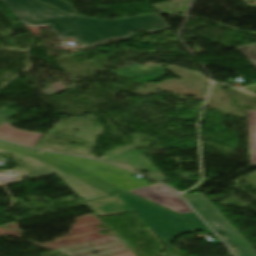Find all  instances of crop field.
<instances>
[{
	"label": "crop field",
	"instance_id": "412701ff",
	"mask_svg": "<svg viewBox=\"0 0 256 256\" xmlns=\"http://www.w3.org/2000/svg\"><path fill=\"white\" fill-rule=\"evenodd\" d=\"M185 198L216 232L225 234L223 239L228 245H234L237 248L235 252L238 253V256H256V251L202 193L186 196Z\"/></svg>",
	"mask_w": 256,
	"mask_h": 256
},
{
	"label": "crop field",
	"instance_id": "d1516ede",
	"mask_svg": "<svg viewBox=\"0 0 256 256\" xmlns=\"http://www.w3.org/2000/svg\"><path fill=\"white\" fill-rule=\"evenodd\" d=\"M0 186H3L1 182H0Z\"/></svg>",
	"mask_w": 256,
	"mask_h": 256
},
{
	"label": "crop field",
	"instance_id": "f4fd0767",
	"mask_svg": "<svg viewBox=\"0 0 256 256\" xmlns=\"http://www.w3.org/2000/svg\"><path fill=\"white\" fill-rule=\"evenodd\" d=\"M39 152L54 157L56 159L62 160L64 162H67L69 164H72L74 166H77L125 191L149 184L143 180L131 178L129 175L132 172L124 171L117 167L103 164L94 160L77 156L52 154L43 151Z\"/></svg>",
	"mask_w": 256,
	"mask_h": 256
},
{
	"label": "crop field",
	"instance_id": "34b2d1b8",
	"mask_svg": "<svg viewBox=\"0 0 256 256\" xmlns=\"http://www.w3.org/2000/svg\"><path fill=\"white\" fill-rule=\"evenodd\" d=\"M0 153L25 163L33 179L56 173L85 202L123 192L106 182L39 152L0 142Z\"/></svg>",
	"mask_w": 256,
	"mask_h": 256
},
{
	"label": "crop field",
	"instance_id": "3316defc",
	"mask_svg": "<svg viewBox=\"0 0 256 256\" xmlns=\"http://www.w3.org/2000/svg\"><path fill=\"white\" fill-rule=\"evenodd\" d=\"M256 66V43L237 47Z\"/></svg>",
	"mask_w": 256,
	"mask_h": 256
},
{
	"label": "crop field",
	"instance_id": "e52e79f7",
	"mask_svg": "<svg viewBox=\"0 0 256 256\" xmlns=\"http://www.w3.org/2000/svg\"><path fill=\"white\" fill-rule=\"evenodd\" d=\"M43 133L29 132L10 126L7 121L0 125V138L35 147Z\"/></svg>",
	"mask_w": 256,
	"mask_h": 256
},
{
	"label": "crop field",
	"instance_id": "ac0d7876",
	"mask_svg": "<svg viewBox=\"0 0 256 256\" xmlns=\"http://www.w3.org/2000/svg\"><path fill=\"white\" fill-rule=\"evenodd\" d=\"M85 204L98 216L135 211L167 245L178 234L208 229L195 213L178 215L126 192Z\"/></svg>",
	"mask_w": 256,
	"mask_h": 256
},
{
	"label": "crop field",
	"instance_id": "8a807250",
	"mask_svg": "<svg viewBox=\"0 0 256 256\" xmlns=\"http://www.w3.org/2000/svg\"><path fill=\"white\" fill-rule=\"evenodd\" d=\"M26 25L46 24L60 39L74 38L83 46L112 38L129 39L133 30L157 32L169 29L160 15L150 14L117 20L71 16L36 0H3Z\"/></svg>",
	"mask_w": 256,
	"mask_h": 256
},
{
	"label": "crop field",
	"instance_id": "dd49c442",
	"mask_svg": "<svg viewBox=\"0 0 256 256\" xmlns=\"http://www.w3.org/2000/svg\"><path fill=\"white\" fill-rule=\"evenodd\" d=\"M178 213L193 212L172 189L157 183L128 191Z\"/></svg>",
	"mask_w": 256,
	"mask_h": 256
},
{
	"label": "crop field",
	"instance_id": "d8731c3e",
	"mask_svg": "<svg viewBox=\"0 0 256 256\" xmlns=\"http://www.w3.org/2000/svg\"><path fill=\"white\" fill-rule=\"evenodd\" d=\"M249 144L251 165L256 164V111L249 110Z\"/></svg>",
	"mask_w": 256,
	"mask_h": 256
},
{
	"label": "crop field",
	"instance_id": "28ad6ade",
	"mask_svg": "<svg viewBox=\"0 0 256 256\" xmlns=\"http://www.w3.org/2000/svg\"><path fill=\"white\" fill-rule=\"evenodd\" d=\"M16 111L12 110H0V124L10 118Z\"/></svg>",
	"mask_w": 256,
	"mask_h": 256
},
{
	"label": "crop field",
	"instance_id": "5a996713",
	"mask_svg": "<svg viewBox=\"0 0 256 256\" xmlns=\"http://www.w3.org/2000/svg\"><path fill=\"white\" fill-rule=\"evenodd\" d=\"M43 2H46L58 9H61L65 12H68L70 14H74L77 15V12L75 11V9L72 7L71 4L63 1V0H41Z\"/></svg>",
	"mask_w": 256,
	"mask_h": 256
}]
</instances>
